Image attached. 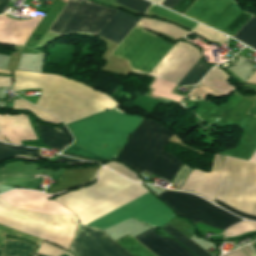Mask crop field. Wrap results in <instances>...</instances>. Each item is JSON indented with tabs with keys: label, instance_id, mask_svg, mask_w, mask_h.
<instances>
[{
	"label": "crop field",
	"instance_id": "obj_1",
	"mask_svg": "<svg viewBox=\"0 0 256 256\" xmlns=\"http://www.w3.org/2000/svg\"><path fill=\"white\" fill-rule=\"evenodd\" d=\"M145 191L142 186L103 167L95 185L68 192L54 200L74 212L80 224L89 226ZM130 217L158 229L173 215L146 192L90 227L104 230Z\"/></svg>",
	"mask_w": 256,
	"mask_h": 256
},
{
	"label": "crop field",
	"instance_id": "obj_2",
	"mask_svg": "<svg viewBox=\"0 0 256 256\" xmlns=\"http://www.w3.org/2000/svg\"><path fill=\"white\" fill-rule=\"evenodd\" d=\"M41 88L35 105L66 123L119 106L107 95L57 75L15 71L14 91Z\"/></svg>",
	"mask_w": 256,
	"mask_h": 256
},
{
	"label": "crop field",
	"instance_id": "obj_3",
	"mask_svg": "<svg viewBox=\"0 0 256 256\" xmlns=\"http://www.w3.org/2000/svg\"><path fill=\"white\" fill-rule=\"evenodd\" d=\"M143 117L123 113L118 107L69 123L73 134V145L100 155L109 160L115 159L127 137L141 123ZM71 145L62 154L100 162L107 161L100 156Z\"/></svg>",
	"mask_w": 256,
	"mask_h": 256
},
{
	"label": "crop field",
	"instance_id": "obj_4",
	"mask_svg": "<svg viewBox=\"0 0 256 256\" xmlns=\"http://www.w3.org/2000/svg\"><path fill=\"white\" fill-rule=\"evenodd\" d=\"M171 134L162 126L144 119L116 160L138 171L139 174L143 170L148 172L162 155ZM181 164L174 156L164 152L149 172L171 182Z\"/></svg>",
	"mask_w": 256,
	"mask_h": 256
},
{
	"label": "crop field",
	"instance_id": "obj_5",
	"mask_svg": "<svg viewBox=\"0 0 256 256\" xmlns=\"http://www.w3.org/2000/svg\"><path fill=\"white\" fill-rule=\"evenodd\" d=\"M138 26L168 34L178 40L189 33L174 25L146 18ZM172 46L163 38L135 26L111 56L126 60L131 71L149 74Z\"/></svg>",
	"mask_w": 256,
	"mask_h": 256
},
{
	"label": "crop field",
	"instance_id": "obj_6",
	"mask_svg": "<svg viewBox=\"0 0 256 256\" xmlns=\"http://www.w3.org/2000/svg\"><path fill=\"white\" fill-rule=\"evenodd\" d=\"M216 198L240 211L256 215V163L226 156ZM218 199L216 204L230 212L256 220V216L242 213Z\"/></svg>",
	"mask_w": 256,
	"mask_h": 256
},
{
	"label": "crop field",
	"instance_id": "obj_7",
	"mask_svg": "<svg viewBox=\"0 0 256 256\" xmlns=\"http://www.w3.org/2000/svg\"><path fill=\"white\" fill-rule=\"evenodd\" d=\"M0 224L55 242L68 250L78 220L76 216L47 215L17 209L0 198Z\"/></svg>",
	"mask_w": 256,
	"mask_h": 256
},
{
	"label": "crop field",
	"instance_id": "obj_8",
	"mask_svg": "<svg viewBox=\"0 0 256 256\" xmlns=\"http://www.w3.org/2000/svg\"><path fill=\"white\" fill-rule=\"evenodd\" d=\"M116 12L87 0H68L49 31L59 35L68 32L97 35Z\"/></svg>",
	"mask_w": 256,
	"mask_h": 256
},
{
	"label": "crop field",
	"instance_id": "obj_9",
	"mask_svg": "<svg viewBox=\"0 0 256 256\" xmlns=\"http://www.w3.org/2000/svg\"><path fill=\"white\" fill-rule=\"evenodd\" d=\"M157 196L172 207L177 214L188 218L195 224L199 221L225 230L228 226L242 220L191 194L164 191Z\"/></svg>",
	"mask_w": 256,
	"mask_h": 256
},
{
	"label": "crop field",
	"instance_id": "obj_10",
	"mask_svg": "<svg viewBox=\"0 0 256 256\" xmlns=\"http://www.w3.org/2000/svg\"><path fill=\"white\" fill-rule=\"evenodd\" d=\"M238 8L232 0H197L184 15L233 36L251 17Z\"/></svg>",
	"mask_w": 256,
	"mask_h": 256
},
{
	"label": "crop field",
	"instance_id": "obj_11",
	"mask_svg": "<svg viewBox=\"0 0 256 256\" xmlns=\"http://www.w3.org/2000/svg\"><path fill=\"white\" fill-rule=\"evenodd\" d=\"M68 251L74 256H132L103 231L80 225Z\"/></svg>",
	"mask_w": 256,
	"mask_h": 256
},
{
	"label": "crop field",
	"instance_id": "obj_12",
	"mask_svg": "<svg viewBox=\"0 0 256 256\" xmlns=\"http://www.w3.org/2000/svg\"><path fill=\"white\" fill-rule=\"evenodd\" d=\"M199 59L197 48L179 42L149 76L178 84Z\"/></svg>",
	"mask_w": 256,
	"mask_h": 256
},
{
	"label": "crop field",
	"instance_id": "obj_13",
	"mask_svg": "<svg viewBox=\"0 0 256 256\" xmlns=\"http://www.w3.org/2000/svg\"><path fill=\"white\" fill-rule=\"evenodd\" d=\"M224 158L225 156L223 155L215 156L210 173L193 169L180 190L199 194L214 202Z\"/></svg>",
	"mask_w": 256,
	"mask_h": 256
},
{
	"label": "crop field",
	"instance_id": "obj_14",
	"mask_svg": "<svg viewBox=\"0 0 256 256\" xmlns=\"http://www.w3.org/2000/svg\"><path fill=\"white\" fill-rule=\"evenodd\" d=\"M2 135L16 145H21L20 140L36 139L27 116L23 114L0 115V141L6 142Z\"/></svg>",
	"mask_w": 256,
	"mask_h": 256
},
{
	"label": "crop field",
	"instance_id": "obj_15",
	"mask_svg": "<svg viewBox=\"0 0 256 256\" xmlns=\"http://www.w3.org/2000/svg\"><path fill=\"white\" fill-rule=\"evenodd\" d=\"M134 238L142 243L156 256H193L172 239L155 235V232L152 229Z\"/></svg>",
	"mask_w": 256,
	"mask_h": 256
},
{
	"label": "crop field",
	"instance_id": "obj_16",
	"mask_svg": "<svg viewBox=\"0 0 256 256\" xmlns=\"http://www.w3.org/2000/svg\"><path fill=\"white\" fill-rule=\"evenodd\" d=\"M100 167L65 169L57 184L48 187L46 193H57L65 189L91 182Z\"/></svg>",
	"mask_w": 256,
	"mask_h": 256
},
{
	"label": "crop field",
	"instance_id": "obj_17",
	"mask_svg": "<svg viewBox=\"0 0 256 256\" xmlns=\"http://www.w3.org/2000/svg\"><path fill=\"white\" fill-rule=\"evenodd\" d=\"M210 68L198 61L178 85L197 84ZM173 87L174 84L157 79L152 86V88L156 89L152 95L177 101L180 96L169 94Z\"/></svg>",
	"mask_w": 256,
	"mask_h": 256
},
{
	"label": "crop field",
	"instance_id": "obj_18",
	"mask_svg": "<svg viewBox=\"0 0 256 256\" xmlns=\"http://www.w3.org/2000/svg\"><path fill=\"white\" fill-rule=\"evenodd\" d=\"M122 13V12H121ZM117 12L98 36L119 44L139 18L127 16Z\"/></svg>",
	"mask_w": 256,
	"mask_h": 256
},
{
	"label": "crop field",
	"instance_id": "obj_19",
	"mask_svg": "<svg viewBox=\"0 0 256 256\" xmlns=\"http://www.w3.org/2000/svg\"><path fill=\"white\" fill-rule=\"evenodd\" d=\"M36 126L41 139L48 147L55 149L59 148L63 150L72 141V137L68 133L65 126L56 129L47 125L39 124L37 122Z\"/></svg>",
	"mask_w": 256,
	"mask_h": 256
},
{
	"label": "crop field",
	"instance_id": "obj_20",
	"mask_svg": "<svg viewBox=\"0 0 256 256\" xmlns=\"http://www.w3.org/2000/svg\"><path fill=\"white\" fill-rule=\"evenodd\" d=\"M230 78L224 72L218 69H212L206 77L200 82V84L229 96L235 87L227 83V79Z\"/></svg>",
	"mask_w": 256,
	"mask_h": 256
},
{
	"label": "crop field",
	"instance_id": "obj_21",
	"mask_svg": "<svg viewBox=\"0 0 256 256\" xmlns=\"http://www.w3.org/2000/svg\"><path fill=\"white\" fill-rule=\"evenodd\" d=\"M40 150L15 147L0 143V160L10 159V158H21V159H38Z\"/></svg>",
	"mask_w": 256,
	"mask_h": 256
},
{
	"label": "crop field",
	"instance_id": "obj_22",
	"mask_svg": "<svg viewBox=\"0 0 256 256\" xmlns=\"http://www.w3.org/2000/svg\"><path fill=\"white\" fill-rule=\"evenodd\" d=\"M163 231H165L168 235H171L175 240H177L182 246H184L186 249H188L190 252H192L196 256H211L201 248H199L197 245H195L193 242H191L188 238H186L184 235H182L180 232H178L175 228H173L169 224H164L162 227H160Z\"/></svg>",
	"mask_w": 256,
	"mask_h": 256
},
{
	"label": "crop field",
	"instance_id": "obj_23",
	"mask_svg": "<svg viewBox=\"0 0 256 256\" xmlns=\"http://www.w3.org/2000/svg\"><path fill=\"white\" fill-rule=\"evenodd\" d=\"M123 248H125L133 256H154L147 249L137 243L133 238L126 235L115 239Z\"/></svg>",
	"mask_w": 256,
	"mask_h": 256
},
{
	"label": "crop field",
	"instance_id": "obj_24",
	"mask_svg": "<svg viewBox=\"0 0 256 256\" xmlns=\"http://www.w3.org/2000/svg\"><path fill=\"white\" fill-rule=\"evenodd\" d=\"M234 38L256 49V18L253 17Z\"/></svg>",
	"mask_w": 256,
	"mask_h": 256
},
{
	"label": "crop field",
	"instance_id": "obj_25",
	"mask_svg": "<svg viewBox=\"0 0 256 256\" xmlns=\"http://www.w3.org/2000/svg\"><path fill=\"white\" fill-rule=\"evenodd\" d=\"M13 109H25L31 111L33 114H35L37 117H39L41 120L50 122V123H59L61 122L51 114L23 101V100H14Z\"/></svg>",
	"mask_w": 256,
	"mask_h": 256
},
{
	"label": "crop field",
	"instance_id": "obj_26",
	"mask_svg": "<svg viewBox=\"0 0 256 256\" xmlns=\"http://www.w3.org/2000/svg\"><path fill=\"white\" fill-rule=\"evenodd\" d=\"M33 250L24 242H6L4 256H32Z\"/></svg>",
	"mask_w": 256,
	"mask_h": 256
},
{
	"label": "crop field",
	"instance_id": "obj_27",
	"mask_svg": "<svg viewBox=\"0 0 256 256\" xmlns=\"http://www.w3.org/2000/svg\"><path fill=\"white\" fill-rule=\"evenodd\" d=\"M149 11L152 12V13H155L157 15H160V16H162L164 18H167L169 20H172V21H174V22H176L178 24H181V25H183V26H185V27H187V28H189L191 30L197 25L196 23H194V22H192L190 20H187V19H185V18H183L181 16H178V15H176L174 13H171V12H169V11H167L165 9H162V8H160V7H158V6L154 5V4L152 5V7L150 8Z\"/></svg>",
	"mask_w": 256,
	"mask_h": 256
},
{
	"label": "crop field",
	"instance_id": "obj_28",
	"mask_svg": "<svg viewBox=\"0 0 256 256\" xmlns=\"http://www.w3.org/2000/svg\"><path fill=\"white\" fill-rule=\"evenodd\" d=\"M256 230V223L255 222H249V221H243L239 224H236L232 227H230L224 234V237H233V236H239L241 234L251 232Z\"/></svg>",
	"mask_w": 256,
	"mask_h": 256
},
{
	"label": "crop field",
	"instance_id": "obj_29",
	"mask_svg": "<svg viewBox=\"0 0 256 256\" xmlns=\"http://www.w3.org/2000/svg\"><path fill=\"white\" fill-rule=\"evenodd\" d=\"M115 3L122 5L126 8H129L135 12H138L142 15L146 12L150 3L144 0H116Z\"/></svg>",
	"mask_w": 256,
	"mask_h": 256
},
{
	"label": "crop field",
	"instance_id": "obj_30",
	"mask_svg": "<svg viewBox=\"0 0 256 256\" xmlns=\"http://www.w3.org/2000/svg\"><path fill=\"white\" fill-rule=\"evenodd\" d=\"M65 253H67L69 256H72L67 251H65L61 248H58L54 245H51L49 243H46L44 241L42 242L40 249L38 251V254H42V255H46V256H62Z\"/></svg>",
	"mask_w": 256,
	"mask_h": 256
},
{
	"label": "crop field",
	"instance_id": "obj_31",
	"mask_svg": "<svg viewBox=\"0 0 256 256\" xmlns=\"http://www.w3.org/2000/svg\"><path fill=\"white\" fill-rule=\"evenodd\" d=\"M104 166L116 171L117 173H119L131 180L142 182V180H140L136 174H134L131 170L124 167L120 163L111 162L109 164H105Z\"/></svg>",
	"mask_w": 256,
	"mask_h": 256
},
{
	"label": "crop field",
	"instance_id": "obj_32",
	"mask_svg": "<svg viewBox=\"0 0 256 256\" xmlns=\"http://www.w3.org/2000/svg\"><path fill=\"white\" fill-rule=\"evenodd\" d=\"M200 34H202L203 36L211 39V40H215L218 41L219 43H223L226 39V37L218 32H215L211 29H208L202 25H198V27L194 30Z\"/></svg>",
	"mask_w": 256,
	"mask_h": 256
},
{
	"label": "crop field",
	"instance_id": "obj_33",
	"mask_svg": "<svg viewBox=\"0 0 256 256\" xmlns=\"http://www.w3.org/2000/svg\"><path fill=\"white\" fill-rule=\"evenodd\" d=\"M4 233H8V234L15 235L18 237L24 236V237L28 238L29 240H31L32 242L36 243L37 245H40V243H41V240H39L35 237L25 235V234H22V233H19V232H16V231H13L8 228L0 226V246L3 244V241H4Z\"/></svg>",
	"mask_w": 256,
	"mask_h": 256
},
{
	"label": "crop field",
	"instance_id": "obj_34",
	"mask_svg": "<svg viewBox=\"0 0 256 256\" xmlns=\"http://www.w3.org/2000/svg\"><path fill=\"white\" fill-rule=\"evenodd\" d=\"M195 0H181L172 10L183 14Z\"/></svg>",
	"mask_w": 256,
	"mask_h": 256
},
{
	"label": "crop field",
	"instance_id": "obj_35",
	"mask_svg": "<svg viewBox=\"0 0 256 256\" xmlns=\"http://www.w3.org/2000/svg\"><path fill=\"white\" fill-rule=\"evenodd\" d=\"M0 73H7V74H11V72L9 71H3V70H0ZM0 87H12L11 86V78H8V77H0Z\"/></svg>",
	"mask_w": 256,
	"mask_h": 256
},
{
	"label": "crop field",
	"instance_id": "obj_36",
	"mask_svg": "<svg viewBox=\"0 0 256 256\" xmlns=\"http://www.w3.org/2000/svg\"><path fill=\"white\" fill-rule=\"evenodd\" d=\"M56 161L64 162V163H68V164H87L88 163L85 161L74 160V159L63 157V156H61L60 158L57 157Z\"/></svg>",
	"mask_w": 256,
	"mask_h": 256
},
{
	"label": "crop field",
	"instance_id": "obj_37",
	"mask_svg": "<svg viewBox=\"0 0 256 256\" xmlns=\"http://www.w3.org/2000/svg\"><path fill=\"white\" fill-rule=\"evenodd\" d=\"M223 256H247V255L239 248Z\"/></svg>",
	"mask_w": 256,
	"mask_h": 256
},
{
	"label": "crop field",
	"instance_id": "obj_38",
	"mask_svg": "<svg viewBox=\"0 0 256 256\" xmlns=\"http://www.w3.org/2000/svg\"><path fill=\"white\" fill-rule=\"evenodd\" d=\"M180 0H166L162 5L172 9Z\"/></svg>",
	"mask_w": 256,
	"mask_h": 256
},
{
	"label": "crop field",
	"instance_id": "obj_39",
	"mask_svg": "<svg viewBox=\"0 0 256 256\" xmlns=\"http://www.w3.org/2000/svg\"><path fill=\"white\" fill-rule=\"evenodd\" d=\"M241 249L248 255V256H256V254L252 251L250 246L246 245L241 247Z\"/></svg>",
	"mask_w": 256,
	"mask_h": 256
},
{
	"label": "crop field",
	"instance_id": "obj_40",
	"mask_svg": "<svg viewBox=\"0 0 256 256\" xmlns=\"http://www.w3.org/2000/svg\"><path fill=\"white\" fill-rule=\"evenodd\" d=\"M9 0H0V14L4 12V9L7 5Z\"/></svg>",
	"mask_w": 256,
	"mask_h": 256
},
{
	"label": "crop field",
	"instance_id": "obj_41",
	"mask_svg": "<svg viewBox=\"0 0 256 256\" xmlns=\"http://www.w3.org/2000/svg\"><path fill=\"white\" fill-rule=\"evenodd\" d=\"M248 115H252L256 117V101L254 102L253 106L249 110Z\"/></svg>",
	"mask_w": 256,
	"mask_h": 256
},
{
	"label": "crop field",
	"instance_id": "obj_42",
	"mask_svg": "<svg viewBox=\"0 0 256 256\" xmlns=\"http://www.w3.org/2000/svg\"><path fill=\"white\" fill-rule=\"evenodd\" d=\"M250 160L256 161V151L254 152V154L252 155V157L250 158Z\"/></svg>",
	"mask_w": 256,
	"mask_h": 256
},
{
	"label": "crop field",
	"instance_id": "obj_43",
	"mask_svg": "<svg viewBox=\"0 0 256 256\" xmlns=\"http://www.w3.org/2000/svg\"><path fill=\"white\" fill-rule=\"evenodd\" d=\"M251 246H252L253 249L256 251V242L252 243Z\"/></svg>",
	"mask_w": 256,
	"mask_h": 256
},
{
	"label": "crop field",
	"instance_id": "obj_44",
	"mask_svg": "<svg viewBox=\"0 0 256 256\" xmlns=\"http://www.w3.org/2000/svg\"><path fill=\"white\" fill-rule=\"evenodd\" d=\"M151 1L156 2V3L159 4L162 0H151Z\"/></svg>",
	"mask_w": 256,
	"mask_h": 256
},
{
	"label": "crop field",
	"instance_id": "obj_45",
	"mask_svg": "<svg viewBox=\"0 0 256 256\" xmlns=\"http://www.w3.org/2000/svg\"><path fill=\"white\" fill-rule=\"evenodd\" d=\"M2 255V252H0V256Z\"/></svg>",
	"mask_w": 256,
	"mask_h": 256
},
{
	"label": "crop field",
	"instance_id": "obj_46",
	"mask_svg": "<svg viewBox=\"0 0 256 256\" xmlns=\"http://www.w3.org/2000/svg\"><path fill=\"white\" fill-rule=\"evenodd\" d=\"M40 191H44V189H43V190H40Z\"/></svg>",
	"mask_w": 256,
	"mask_h": 256
}]
</instances>
